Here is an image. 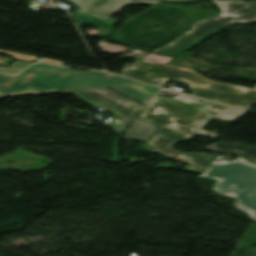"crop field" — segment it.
Listing matches in <instances>:
<instances>
[{
  "mask_svg": "<svg viewBox=\"0 0 256 256\" xmlns=\"http://www.w3.org/2000/svg\"><path fill=\"white\" fill-rule=\"evenodd\" d=\"M3 98H5V97H1V96H0V100L3 99Z\"/></svg>",
  "mask_w": 256,
  "mask_h": 256,
  "instance_id": "crop-field-13",
  "label": "crop field"
},
{
  "mask_svg": "<svg viewBox=\"0 0 256 256\" xmlns=\"http://www.w3.org/2000/svg\"><path fill=\"white\" fill-rule=\"evenodd\" d=\"M208 149L239 154L256 163V147L219 142ZM218 180L213 192L238 199L234 206L256 220V166L235 157L232 162L213 161L200 176Z\"/></svg>",
  "mask_w": 256,
  "mask_h": 256,
  "instance_id": "crop-field-3",
  "label": "crop field"
},
{
  "mask_svg": "<svg viewBox=\"0 0 256 256\" xmlns=\"http://www.w3.org/2000/svg\"><path fill=\"white\" fill-rule=\"evenodd\" d=\"M244 113L245 111L180 94L173 99L153 98L140 119L190 140L193 135L215 138L216 132L201 130L207 121H229Z\"/></svg>",
  "mask_w": 256,
  "mask_h": 256,
  "instance_id": "crop-field-2",
  "label": "crop field"
},
{
  "mask_svg": "<svg viewBox=\"0 0 256 256\" xmlns=\"http://www.w3.org/2000/svg\"><path fill=\"white\" fill-rule=\"evenodd\" d=\"M73 15L78 18V22L76 24H78L79 26L82 25L83 23L92 24L93 26H96V27L102 29L103 35H108L110 32H112V24L113 23H109L106 21H102V20L95 19V18H92L89 16L78 14V13H75Z\"/></svg>",
  "mask_w": 256,
  "mask_h": 256,
  "instance_id": "crop-field-10",
  "label": "crop field"
},
{
  "mask_svg": "<svg viewBox=\"0 0 256 256\" xmlns=\"http://www.w3.org/2000/svg\"><path fill=\"white\" fill-rule=\"evenodd\" d=\"M119 86H128L149 96L159 90L116 75L97 71L80 72L46 64H35L15 77L0 75V95L7 96Z\"/></svg>",
  "mask_w": 256,
  "mask_h": 256,
  "instance_id": "crop-field-1",
  "label": "crop field"
},
{
  "mask_svg": "<svg viewBox=\"0 0 256 256\" xmlns=\"http://www.w3.org/2000/svg\"><path fill=\"white\" fill-rule=\"evenodd\" d=\"M111 89L118 91V92H120L136 101L144 103V104H146L147 100L150 98L149 96L141 94L139 92H136L128 87L111 88Z\"/></svg>",
  "mask_w": 256,
  "mask_h": 256,
  "instance_id": "crop-field-11",
  "label": "crop field"
},
{
  "mask_svg": "<svg viewBox=\"0 0 256 256\" xmlns=\"http://www.w3.org/2000/svg\"><path fill=\"white\" fill-rule=\"evenodd\" d=\"M81 7L78 13L93 16L110 22H117L109 18L111 13L119 11L125 4H157L152 0H71Z\"/></svg>",
  "mask_w": 256,
  "mask_h": 256,
  "instance_id": "crop-field-8",
  "label": "crop field"
},
{
  "mask_svg": "<svg viewBox=\"0 0 256 256\" xmlns=\"http://www.w3.org/2000/svg\"><path fill=\"white\" fill-rule=\"evenodd\" d=\"M88 104L105 108L114 114L110 123L114 131L122 133L142 109L143 105L125 98L109 89L71 92Z\"/></svg>",
  "mask_w": 256,
  "mask_h": 256,
  "instance_id": "crop-field-6",
  "label": "crop field"
},
{
  "mask_svg": "<svg viewBox=\"0 0 256 256\" xmlns=\"http://www.w3.org/2000/svg\"><path fill=\"white\" fill-rule=\"evenodd\" d=\"M29 65H30V63L19 61L17 63H13L9 68L0 67V73L16 74V73L22 71L24 68H26Z\"/></svg>",
  "mask_w": 256,
  "mask_h": 256,
  "instance_id": "crop-field-12",
  "label": "crop field"
},
{
  "mask_svg": "<svg viewBox=\"0 0 256 256\" xmlns=\"http://www.w3.org/2000/svg\"><path fill=\"white\" fill-rule=\"evenodd\" d=\"M122 73L162 87L165 86L168 78L176 79L190 84L194 96L242 109H248L250 104H256V91L212 82L183 68L137 60L134 65L126 64Z\"/></svg>",
  "mask_w": 256,
  "mask_h": 256,
  "instance_id": "crop-field-4",
  "label": "crop field"
},
{
  "mask_svg": "<svg viewBox=\"0 0 256 256\" xmlns=\"http://www.w3.org/2000/svg\"><path fill=\"white\" fill-rule=\"evenodd\" d=\"M155 129L156 127H153L139 119H136V121L133 123V125L130 127L124 137L139 140L145 143Z\"/></svg>",
  "mask_w": 256,
  "mask_h": 256,
  "instance_id": "crop-field-9",
  "label": "crop field"
},
{
  "mask_svg": "<svg viewBox=\"0 0 256 256\" xmlns=\"http://www.w3.org/2000/svg\"><path fill=\"white\" fill-rule=\"evenodd\" d=\"M182 141L184 140L157 128L145 145L166 157L189 163L185 168L186 171L202 174L216 156L203 153H182L173 148L174 144Z\"/></svg>",
  "mask_w": 256,
  "mask_h": 256,
  "instance_id": "crop-field-7",
  "label": "crop field"
},
{
  "mask_svg": "<svg viewBox=\"0 0 256 256\" xmlns=\"http://www.w3.org/2000/svg\"><path fill=\"white\" fill-rule=\"evenodd\" d=\"M212 1L221 7L223 13L220 16L208 18L193 25V30L178 38L172 44L157 49L150 54L172 58L233 22L247 23L256 21V2Z\"/></svg>",
  "mask_w": 256,
  "mask_h": 256,
  "instance_id": "crop-field-5",
  "label": "crop field"
}]
</instances>
